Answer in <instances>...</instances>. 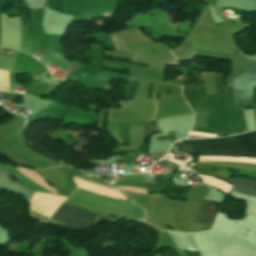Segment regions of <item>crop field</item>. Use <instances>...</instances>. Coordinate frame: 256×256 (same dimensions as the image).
Segmentation results:
<instances>
[{
    "label": "crop field",
    "mask_w": 256,
    "mask_h": 256,
    "mask_svg": "<svg viewBox=\"0 0 256 256\" xmlns=\"http://www.w3.org/2000/svg\"><path fill=\"white\" fill-rule=\"evenodd\" d=\"M217 93L206 95L204 84L182 90L194 114L209 111L206 127L236 133L247 131L242 110L233 105L231 83L224 87L223 74H212Z\"/></svg>",
    "instance_id": "8a807250"
},
{
    "label": "crop field",
    "mask_w": 256,
    "mask_h": 256,
    "mask_svg": "<svg viewBox=\"0 0 256 256\" xmlns=\"http://www.w3.org/2000/svg\"><path fill=\"white\" fill-rule=\"evenodd\" d=\"M178 147L188 155H224L242 157L244 147L238 140V136L226 138H213L204 140L179 141ZM182 151V149H179Z\"/></svg>",
    "instance_id": "ac0d7876"
},
{
    "label": "crop field",
    "mask_w": 256,
    "mask_h": 256,
    "mask_svg": "<svg viewBox=\"0 0 256 256\" xmlns=\"http://www.w3.org/2000/svg\"><path fill=\"white\" fill-rule=\"evenodd\" d=\"M255 65L252 62L241 76L232 80L234 105L238 109L253 107V86H256Z\"/></svg>",
    "instance_id": "34b2d1b8"
},
{
    "label": "crop field",
    "mask_w": 256,
    "mask_h": 256,
    "mask_svg": "<svg viewBox=\"0 0 256 256\" xmlns=\"http://www.w3.org/2000/svg\"><path fill=\"white\" fill-rule=\"evenodd\" d=\"M95 213L85 211L63 203L52 219L65 224L69 229H79L88 227L95 220Z\"/></svg>",
    "instance_id": "412701ff"
},
{
    "label": "crop field",
    "mask_w": 256,
    "mask_h": 256,
    "mask_svg": "<svg viewBox=\"0 0 256 256\" xmlns=\"http://www.w3.org/2000/svg\"><path fill=\"white\" fill-rule=\"evenodd\" d=\"M82 79H116V80H125L128 82L126 88L125 99H130L135 97V93L138 87L139 79L121 75V74H83Z\"/></svg>",
    "instance_id": "f4fd0767"
},
{
    "label": "crop field",
    "mask_w": 256,
    "mask_h": 256,
    "mask_svg": "<svg viewBox=\"0 0 256 256\" xmlns=\"http://www.w3.org/2000/svg\"><path fill=\"white\" fill-rule=\"evenodd\" d=\"M190 169H193L196 173H201V174L209 175V176H215V177H219L224 180L227 177L232 176V173H230L225 168L210 166V165H206V164L197 163V164H194Z\"/></svg>",
    "instance_id": "dd49c442"
},
{
    "label": "crop field",
    "mask_w": 256,
    "mask_h": 256,
    "mask_svg": "<svg viewBox=\"0 0 256 256\" xmlns=\"http://www.w3.org/2000/svg\"><path fill=\"white\" fill-rule=\"evenodd\" d=\"M226 181L234 186V191L256 196V181L243 178H227Z\"/></svg>",
    "instance_id": "e52e79f7"
},
{
    "label": "crop field",
    "mask_w": 256,
    "mask_h": 256,
    "mask_svg": "<svg viewBox=\"0 0 256 256\" xmlns=\"http://www.w3.org/2000/svg\"><path fill=\"white\" fill-rule=\"evenodd\" d=\"M239 138L241 143L245 146L243 156L256 158V130L241 134Z\"/></svg>",
    "instance_id": "d8731c3e"
},
{
    "label": "crop field",
    "mask_w": 256,
    "mask_h": 256,
    "mask_svg": "<svg viewBox=\"0 0 256 256\" xmlns=\"http://www.w3.org/2000/svg\"><path fill=\"white\" fill-rule=\"evenodd\" d=\"M160 195H149L147 205L145 212L147 213L146 219H145V225L155 229V230H163L161 227H159L153 220L154 212L156 209L157 201L161 197Z\"/></svg>",
    "instance_id": "5a996713"
},
{
    "label": "crop field",
    "mask_w": 256,
    "mask_h": 256,
    "mask_svg": "<svg viewBox=\"0 0 256 256\" xmlns=\"http://www.w3.org/2000/svg\"><path fill=\"white\" fill-rule=\"evenodd\" d=\"M217 205L202 203L195 222L212 223Z\"/></svg>",
    "instance_id": "3316defc"
},
{
    "label": "crop field",
    "mask_w": 256,
    "mask_h": 256,
    "mask_svg": "<svg viewBox=\"0 0 256 256\" xmlns=\"http://www.w3.org/2000/svg\"><path fill=\"white\" fill-rule=\"evenodd\" d=\"M159 131L156 125L153 126H145V135Z\"/></svg>",
    "instance_id": "28ad6ade"
},
{
    "label": "crop field",
    "mask_w": 256,
    "mask_h": 256,
    "mask_svg": "<svg viewBox=\"0 0 256 256\" xmlns=\"http://www.w3.org/2000/svg\"><path fill=\"white\" fill-rule=\"evenodd\" d=\"M253 103H256V87H254Z\"/></svg>",
    "instance_id": "d1516ede"
}]
</instances>
